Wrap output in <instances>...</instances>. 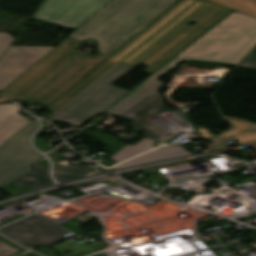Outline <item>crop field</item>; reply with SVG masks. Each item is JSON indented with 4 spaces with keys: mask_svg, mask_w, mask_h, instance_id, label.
I'll list each match as a JSON object with an SVG mask.
<instances>
[{
    "mask_svg": "<svg viewBox=\"0 0 256 256\" xmlns=\"http://www.w3.org/2000/svg\"><path fill=\"white\" fill-rule=\"evenodd\" d=\"M230 12L203 0H180L49 104L46 110L55 114L47 120L80 127L129 92L112 85L137 65L154 72ZM189 22L195 24L189 26Z\"/></svg>",
    "mask_w": 256,
    "mask_h": 256,
    "instance_id": "crop-field-1",
    "label": "crop field"
},
{
    "mask_svg": "<svg viewBox=\"0 0 256 256\" xmlns=\"http://www.w3.org/2000/svg\"><path fill=\"white\" fill-rule=\"evenodd\" d=\"M177 0H113L60 45L0 92L21 101L80 54L74 47L97 40L98 54L81 55L27 100L47 106Z\"/></svg>",
    "mask_w": 256,
    "mask_h": 256,
    "instance_id": "crop-field-2",
    "label": "crop field"
},
{
    "mask_svg": "<svg viewBox=\"0 0 256 256\" xmlns=\"http://www.w3.org/2000/svg\"><path fill=\"white\" fill-rule=\"evenodd\" d=\"M255 44L256 19L234 12L106 112L134 122L146 138L168 144L178 135L170 140L164 139L163 132L142 120L165 108L157 93L164 83L156 78L176 64L189 60L237 65Z\"/></svg>",
    "mask_w": 256,
    "mask_h": 256,
    "instance_id": "crop-field-3",
    "label": "crop field"
},
{
    "mask_svg": "<svg viewBox=\"0 0 256 256\" xmlns=\"http://www.w3.org/2000/svg\"><path fill=\"white\" fill-rule=\"evenodd\" d=\"M36 127V120L30 121L0 146V187L43 157L28 144Z\"/></svg>",
    "mask_w": 256,
    "mask_h": 256,
    "instance_id": "crop-field-4",
    "label": "crop field"
},
{
    "mask_svg": "<svg viewBox=\"0 0 256 256\" xmlns=\"http://www.w3.org/2000/svg\"><path fill=\"white\" fill-rule=\"evenodd\" d=\"M110 0H46L35 18L76 29Z\"/></svg>",
    "mask_w": 256,
    "mask_h": 256,
    "instance_id": "crop-field-5",
    "label": "crop field"
},
{
    "mask_svg": "<svg viewBox=\"0 0 256 256\" xmlns=\"http://www.w3.org/2000/svg\"><path fill=\"white\" fill-rule=\"evenodd\" d=\"M0 232L23 245H49L64 239L59 234L67 231L35 214Z\"/></svg>",
    "mask_w": 256,
    "mask_h": 256,
    "instance_id": "crop-field-6",
    "label": "crop field"
},
{
    "mask_svg": "<svg viewBox=\"0 0 256 256\" xmlns=\"http://www.w3.org/2000/svg\"><path fill=\"white\" fill-rule=\"evenodd\" d=\"M54 47L10 46L0 60V90Z\"/></svg>",
    "mask_w": 256,
    "mask_h": 256,
    "instance_id": "crop-field-7",
    "label": "crop field"
},
{
    "mask_svg": "<svg viewBox=\"0 0 256 256\" xmlns=\"http://www.w3.org/2000/svg\"><path fill=\"white\" fill-rule=\"evenodd\" d=\"M226 121L230 123L233 127L213 139V145L211 147L212 150L224 148V142L230 137H233L237 142L242 145L246 143L256 142V129L250 130L256 125L250 122L229 118H226Z\"/></svg>",
    "mask_w": 256,
    "mask_h": 256,
    "instance_id": "crop-field-8",
    "label": "crop field"
},
{
    "mask_svg": "<svg viewBox=\"0 0 256 256\" xmlns=\"http://www.w3.org/2000/svg\"><path fill=\"white\" fill-rule=\"evenodd\" d=\"M19 110L15 104L0 105V140L5 141L30 121L18 114Z\"/></svg>",
    "mask_w": 256,
    "mask_h": 256,
    "instance_id": "crop-field-9",
    "label": "crop field"
},
{
    "mask_svg": "<svg viewBox=\"0 0 256 256\" xmlns=\"http://www.w3.org/2000/svg\"><path fill=\"white\" fill-rule=\"evenodd\" d=\"M188 155H193V153L185 151L184 147L182 146L171 145L163 149L157 150L155 152L127 161L125 163L116 165L111 168L112 169L126 168V167H131V166H135V165H139L147 162L177 158V157L188 156Z\"/></svg>",
    "mask_w": 256,
    "mask_h": 256,
    "instance_id": "crop-field-10",
    "label": "crop field"
},
{
    "mask_svg": "<svg viewBox=\"0 0 256 256\" xmlns=\"http://www.w3.org/2000/svg\"><path fill=\"white\" fill-rule=\"evenodd\" d=\"M49 168L41 167V168H33L29 170L27 173H23L24 175H20L21 177L13 180V184L26 188H42L50 186L49 179ZM21 183V185H19Z\"/></svg>",
    "mask_w": 256,
    "mask_h": 256,
    "instance_id": "crop-field-11",
    "label": "crop field"
},
{
    "mask_svg": "<svg viewBox=\"0 0 256 256\" xmlns=\"http://www.w3.org/2000/svg\"><path fill=\"white\" fill-rule=\"evenodd\" d=\"M55 165L54 174L58 180L63 182L76 180L95 168L94 165H69L63 163H55Z\"/></svg>",
    "mask_w": 256,
    "mask_h": 256,
    "instance_id": "crop-field-12",
    "label": "crop field"
},
{
    "mask_svg": "<svg viewBox=\"0 0 256 256\" xmlns=\"http://www.w3.org/2000/svg\"><path fill=\"white\" fill-rule=\"evenodd\" d=\"M154 142H156V141H152V140L144 138L143 140H141L134 146L126 145L122 150L120 149L121 151L119 150L120 152H118L117 154L115 153L116 155H114L112 158H110V160L116 161L113 164V165H115V164H118L125 160L136 157L138 155L149 152L151 150L157 149V148L153 147Z\"/></svg>",
    "mask_w": 256,
    "mask_h": 256,
    "instance_id": "crop-field-13",
    "label": "crop field"
},
{
    "mask_svg": "<svg viewBox=\"0 0 256 256\" xmlns=\"http://www.w3.org/2000/svg\"><path fill=\"white\" fill-rule=\"evenodd\" d=\"M207 1L256 17V0H207Z\"/></svg>",
    "mask_w": 256,
    "mask_h": 256,
    "instance_id": "crop-field-14",
    "label": "crop field"
},
{
    "mask_svg": "<svg viewBox=\"0 0 256 256\" xmlns=\"http://www.w3.org/2000/svg\"><path fill=\"white\" fill-rule=\"evenodd\" d=\"M14 39L7 33H0V57Z\"/></svg>",
    "mask_w": 256,
    "mask_h": 256,
    "instance_id": "crop-field-15",
    "label": "crop field"
},
{
    "mask_svg": "<svg viewBox=\"0 0 256 256\" xmlns=\"http://www.w3.org/2000/svg\"><path fill=\"white\" fill-rule=\"evenodd\" d=\"M241 68L256 69V49L239 66Z\"/></svg>",
    "mask_w": 256,
    "mask_h": 256,
    "instance_id": "crop-field-16",
    "label": "crop field"
},
{
    "mask_svg": "<svg viewBox=\"0 0 256 256\" xmlns=\"http://www.w3.org/2000/svg\"><path fill=\"white\" fill-rule=\"evenodd\" d=\"M18 252H21V251L16 248L10 247L3 242L0 243V256H10Z\"/></svg>",
    "mask_w": 256,
    "mask_h": 256,
    "instance_id": "crop-field-17",
    "label": "crop field"
},
{
    "mask_svg": "<svg viewBox=\"0 0 256 256\" xmlns=\"http://www.w3.org/2000/svg\"><path fill=\"white\" fill-rule=\"evenodd\" d=\"M2 191L6 192V193H8L12 196H15V195H19V194L29 192V191H32V190H28V189H24V188L9 185L5 189H3Z\"/></svg>",
    "mask_w": 256,
    "mask_h": 256,
    "instance_id": "crop-field-18",
    "label": "crop field"
},
{
    "mask_svg": "<svg viewBox=\"0 0 256 256\" xmlns=\"http://www.w3.org/2000/svg\"><path fill=\"white\" fill-rule=\"evenodd\" d=\"M198 132H199V135L200 137L202 138H209V137H212V133L206 129H202V128H198L196 127Z\"/></svg>",
    "mask_w": 256,
    "mask_h": 256,
    "instance_id": "crop-field-19",
    "label": "crop field"
},
{
    "mask_svg": "<svg viewBox=\"0 0 256 256\" xmlns=\"http://www.w3.org/2000/svg\"><path fill=\"white\" fill-rule=\"evenodd\" d=\"M39 165H44V166L49 167L46 160H41V161L39 162Z\"/></svg>",
    "mask_w": 256,
    "mask_h": 256,
    "instance_id": "crop-field-20",
    "label": "crop field"
},
{
    "mask_svg": "<svg viewBox=\"0 0 256 256\" xmlns=\"http://www.w3.org/2000/svg\"><path fill=\"white\" fill-rule=\"evenodd\" d=\"M3 142L2 141H0V145L2 144Z\"/></svg>",
    "mask_w": 256,
    "mask_h": 256,
    "instance_id": "crop-field-21",
    "label": "crop field"
},
{
    "mask_svg": "<svg viewBox=\"0 0 256 256\" xmlns=\"http://www.w3.org/2000/svg\"><path fill=\"white\" fill-rule=\"evenodd\" d=\"M23 256H29V255L26 254V255H23Z\"/></svg>",
    "mask_w": 256,
    "mask_h": 256,
    "instance_id": "crop-field-22",
    "label": "crop field"
},
{
    "mask_svg": "<svg viewBox=\"0 0 256 256\" xmlns=\"http://www.w3.org/2000/svg\"><path fill=\"white\" fill-rule=\"evenodd\" d=\"M256 149V148H255Z\"/></svg>",
    "mask_w": 256,
    "mask_h": 256,
    "instance_id": "crop-field-23",
    "label": "crop field"
},
{
    "mask_svg": "<svg viewBox=\"0 0 256 256\" xmlns=\"http://www.w3.org/2000/svg\"><path fill=\"white\" fill-rule=\"evenodd\" d=\"M152 152V151H151Z\"/></svg>",
    "mask_w": 256,
    "mask_h": 256,
    "instance_id": "crop-field-24",
    "label": "crop field"
}]
</instances>
